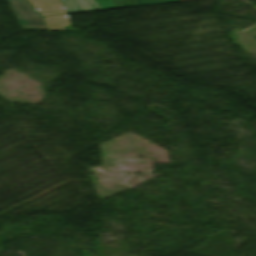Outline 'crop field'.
<instances>
[{"mask_svg": "<svg viewBox=\"0 0 256 256\" xmlns=\"http://www.w3.org/2000/svg\"><path fill=\"white\" fill-rule=\"evenodd\" d=\"M24 30H47L42 17L26 0H8Z\"/></svg>", "mask_w": 256, "mask_h": 256, "instance_id": "1", "label": "crop field"}, {"mask_svg": "<svg viewBox=\"0 0 256 256\" xmlns=\"http://www.w3.org/2000/svg\"><path fill=\"white\" fill-rule=\"evenodd\" d=\"M43 16L65 14L60 0H28Z\"/></svg>", "mask_w": 256, "mask_h": 256, "instance_id": "2", "label": "crop field"}, {"mask_svg": "<svg viewBox=\"0 0 256 256\" xmlns=\"http://www.w3.org/2000/svg\"><path fill=\"white\" fill-rule=\"evenodd\" d=\"M44 18L49 30H64V25H70L66 14Z\"/></svg>", "mask_w": 256, "mask_h": 256, "instance_id": "3", "label": "crop field"}]
</instances>
